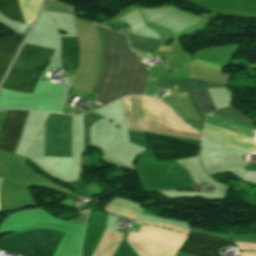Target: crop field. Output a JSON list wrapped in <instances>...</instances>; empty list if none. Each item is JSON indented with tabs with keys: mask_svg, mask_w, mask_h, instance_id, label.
<instances>
[{
	"mask_svg": "<svg viewBox=\"0 0 256 256\" xmlns=\"http://www.w3.org/2000/svg\"><path fill=\"white\" fill-rule=\"evenodd\" d=\"M0 13L13 20L23 22L17 0H0Z\"/></svg>",
	"mask_w": 256,
	"mask_h": 256,
	"instance_id": "crop-field-12",
	"label": "crop field"
},
{
	"mask_svg": "<svg viewBox=\"0 0 256 256\" xmlns=\"http://www.w3.org/2000/svg\"><path fill=\"white\" fill-rule=\"evenodd\" d=\"M55 53V50L26 44L19 61L8 73L2 87L31 94Z\"/></svg>",
	"mask_w": 256,
	"mask_h": 256,
	"instance_id": "crop-field-4",
	"label": "crop field"
},
{
	"mask_svg": "<svg viewBox=\"0 0 256 256\" xmlns=\"http://www.w3.org/2000/svg\"><path fill=\"white\" fill-rule=\"evenodd\" d=\"M129 37H130L131 47L146 54L149 50L161 45L160 41H157V40H152V39L142 38V37H135V36H129Z\"/></svg>",
	"mask_w": 256,
	"mask_h": 256,
	"instance_id": "crop-field-13",
	"label": "crop field"
},
{
	"mask_svg": "<svg viewBox=\"0 0 256 256\" xmlns=\"http://www.w3.org/2000/svg\"><path fill=\"white\" fill-rule=\"evenodd\" d=\"M23 35L17 34L15 38L0 41V78L14 57Z\"/></svg>",
	"mask_w": 256,
	"mask_h": 256,
	"instance_id": "crop-field-11",
	"label": "crop field"
},
{
	"mask_svg": "<svg viewBox=\"0 0 256 256\" xmlns=\"http://www.w3.org/2000/svg\"><path fill=\"white\" fill-rule=\"evenodd\" d=\"M64 232L35 229L14 234L0 240V250L24 256H52Z\"/></svg>",
	"mask_w": 256,
	"mask_h": 256,
	"instance_id": "crop-field-5",
	"label": "crop field"
},
{
	"mask_svg": "<svg viewBox=\"0 0 256 256\" xmlns=\"http://www.w3.org/2000/svg\"><path fill=\"white\" fill-rule=\"evenodd\" d=\"M29 111L11 110L0 130V149L14 152Z\"/></svg>",
	"mask_w": 256,
	"mask_h": 256,
	"instance_id": "crop-field-8",
	"label": "crop field"
},
{
	"mask_svg": "<svg viewBox=\"0 0 256 256\" xmlns=\"http://www.w3.org/2000/svg\"><path fill=\"white\" fill-rule=\"evenodd\" d=\"M99 34H100L101 40L105 42L120 45V46H128L126 37L120 33L117 34L116 32H113L111 30H108L99 26Z\"/></svg>",
	"mask_w": 256,
	"mask_h": 256,
	"instance_id": "crop-field-14",
	"label": "crop field"
},
{
	"mask_svg": "<svg viewBox=\"0 0 256 256\" xmlns=\"http://www.w3.org/2000/svg\"><path fill=\"white\" fill-rule=\"evenodd\" d=\"M226 246L234 247L230 241L190 231L179 251L196 256H218L216 252Z\"/></svg>",
	"mask_w": 256,
	"mask_h": 256,
	"instance_id": "crop-field-7",
	"label": "crop field"
},
{
	"mask_svg": "<svg viewBox=\"0 0 256 256\" xmlns=\"http://www.w3.org/2000/svg\"><path fill=\"white\" fill-rule=\"evenodd\" d=\"M157 86H178L179 92L197 91L201 89L214 88V87H226L223 84L183 79V80H159Z\"/></svg>",
	"mask_w": 256,
	"mask_h": 256,
	"instance_id": "crop-field-10",
	"label": "crop field"
},
{
	"mask_svg": "<svg viewBox=\"0 0 256 256\" xmlns=\"http://www.w3.org/2000/svg\"><path fill=\"white\" fill-rule=\"evenodd\" d=\"M102 45L101 72L94 89L99 93L96 101L103 105L125 95L142 94L149 74L143 64L129 47L103 41Z\"/></svg>",
	"mask_w": 256,
	"mask_h": 256,
	"instance_id": "crop-field-1",
	"label": "crop field"
},
{
	"mask_svg": "<svg viewBox=\"0 0 256 256\" xmlns=\"http://www.w3.org/2000/svg\"><path fill=\"white\" fill-rule=\"evenodd\" d=\"M61 39L62 68L77 69L79 63V47L76 38Z\"/></svg>",
	"mask_w": 256,
	"mask_h": 256,
	"instance_id": "crop-field-9",
	"label": "crop field"
},
{
	"mask_svg": "<svg viewBox=\"0 0 256 256\" xmlns=\"http://www.w3.org/2000/svg\"><path fill=\"white\" fill-rule=\"evenodd\" d=\"M44 156L71 157V116L49 114L45 122Z\"/></svg>",
	"mask_w": 256,
	"mask_h": 256,
	"instance_id": "crop-field-6",
	"label": "crop field"
},
{
	"mask_svg": "<svg viewBox=\"0 0 256 256\" xmlns=\"http://www.w3.org/2000/svg\"><path fill=\"white\" fill-rule=\"evenodd\" d=\"M190 94L201 114L253 126L250 123L248 118L240 115L231 107L216 110L207 90L192 92ZM209 107H212L215 111L213 112L209 111ZM208 116H204L205 122H208L210 124L222 127L224 129L236 132L238 134H241L256 140V130L253 127L238 124V123H233V122H229L221 119H216ZM205 122L203 123L202 133L216 140H219L221 142L230 144L232 146L250 150V151H256L255 140H252L250 138L210 125Z\"/></svg>",
	"mask_w": 256,
	"mask_h": 256,
	"instance_id": "crop-field-2",
	"label": "crop field"
},
{
	"mask_svg": "<svg viewBox=\"0 0 256 256\" xmlns=\"http://www.w3.org/2000/svg\"><path fill=\"white\" fill-rule=\"evenodd\" d=\"M122 102L127 127L199 134L158 100L133 96Z\"/></svg>",
	"mask_w": 256,
	"mask_h": 256,
	"instance_id": "crop-field-3",
	"label": "crop field"
}]
</instances>
